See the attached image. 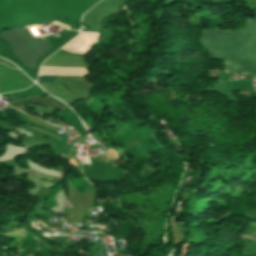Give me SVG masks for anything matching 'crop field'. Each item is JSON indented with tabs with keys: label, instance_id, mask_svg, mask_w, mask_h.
I'll return each mask as SVG.
<instances>
[{
	"label": "crop field",
	"instance_id": "8a807250",
	"mask_svg": "<svg viewBox=\"0 0 256 256\" xmlns=\"http://www.w3.org/2000/svg\"><path fill=\"white\" fill-rule=\"evenodd\" d=\"M203 42L213 57L229 59L256 75V21L249 20L241 30L203 31Z\"/></svg>",
	"mask_w": 256,
	"mask_h": 256
},
{
	"label": "crop field",
	"instance_id": "412701ff",
	"mask_svg": "<svg viewBox=\"0 0 256 256\" xmlns=\"http://www.w3.org/2000/svg\"><path fill=\"white\" fill-rule=\"evenodd\" d=\"M29 102L31 103H35V104H38V105H42V106H46V107H50V108H55V109H58V110H61L65 107H67L66 105H64L62 102L50 97V96H47L45 98H42V97H38V96H34V97H30L26 100H22V101H14L12 103H10L9 105L22 111V112H25L24 110V105L28 104Z\"/></svg>",
	"mask_w": 256,
	"mask_h": 256
},
{
	"label": "crop field",
	"instance_id": "ac0d7876",
	"mask_svg": "<svg viewBox=\"0 0 256 256\" xmlns=\"http://www.w3.org/2000/svg\"><path fill=\"white\" fill-rule=\"evenodd\" d=\"M0 36L12 45L14 54L32 69L51 47L44 38L35 40L27 28L8 30Z\"/></svg>",
	"mask_w": 256,
	"mask_h": 256
},
{
	"label": "crop field",
	"instance_id": "f4fd0767",
	"mask_svg": "<svg viewBox=\"0 0 256 256\" xmlns=\"http://www.w3.org/2000/svg\"><path fill=\"white\" fill-rule=\"evenodd\" d=\"M51 57L53 58H65V59H79V60H85L86 58L84 57H80V56H76V55H71V54H66V53H62L60 51L56 52L54 55H52Z\"/></svg>",
	"mask_w": 256,
	"mask_h": 256
},
{
	"label": "crop field",
	"instance_id": "e52e79f7",
	"mask_svg": "<svg viewBox=\"0 0 256 256\" xmlns=\"http://www.w3.org/2000/svg\"><path fill=\"white\" fill-rule=\"evenodd\" d=\"M57 76H39L37 83L40 82H53Z\"/></svg>",
	"mask_w": 256,
	"mask_h": 256
},
{
	"label": "crop field",
	"instance_id": "34b2d1b8",
	"mask_svg": "<svg viewBox=\"0 0 256 256\" xmlns=\"http://www.w3.org/2000/svg\"><path fill=\"white\" fill-rule=\"evenodd\" d=\"M127 0H102L90 11L86 12L82 22L89 25L91 30H101L105 17L117 15Z\"/></svg>",
	"mask_w": 256,
	"mask_h": 256
},
{
	"label": "crop field",
	"instance_id": "dd49c442",
	"mask_svg": "<svg viewBox=\"0 0 256 256\" xmlns=\"http://www.w3.org/2000/svg\"><path fill=\"white\" fill-rule=\"evenodd\" d=\"M225 64H226L227 69L231 73H244V70L240 66H238V65H236L234 63L225 61Z\"/></svg>",
	"mask_w": 256,
	"mask_h": 256
}]
</instances>
